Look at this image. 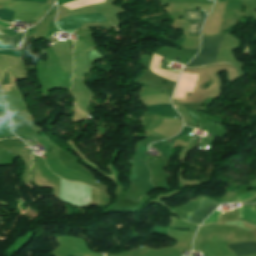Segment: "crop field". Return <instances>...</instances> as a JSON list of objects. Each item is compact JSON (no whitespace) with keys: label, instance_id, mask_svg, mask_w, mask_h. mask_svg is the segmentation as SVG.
I'll use <instances>...</instances> for the list:
<instances>
[{"label":"crop field","instance_id":"crop-field-1","mask_svg":"<svg viewBox=\"0 0 256 256\" xmlns=\"http://www.w3.org/2000/svg\"><path fill=\"white\" fill-rule=\"evenodd\" d=\"M222 38V35L216 37H203L202 51L193 59L190 64L195 66H203L205 64L214 63Z\"/></svg>","mask_w":256,"mask_h":256},{"label":"crop field","instance_id":"crop-field-2","mask_svg":"<svg viewBox=\"0 0 256 256\" xmlns=\"http://www.w3.org/2000/svg\"><path fill=\"white\" fill-rule=\"evenodd\" d=\"M218 205L219 204L213 201L201 199V206L189 216L187 221L200 225L202 221L217 208Z\"/></svg>","mask_w":256,"mask_h":256},{"label":"crop field","instance_id":"crop-field-3","mask_svg":"<svg viewBox=\"0 0 256 256\" xmlns=\"http://www.w3.org/2000/svg\"><path fill=\"white\" fill-rule=\"evenodd\" d=\"M201 11L197 10H185L184 11V19L189 21H194V24L190 23L188 33L187 34H194L200 35V26L202 25L206 15L201 14Z\"/></svg>","mask_w":256,"mask_h":256},{"label":"crop field","instance_id":"crop-field-4","mask_svg":"<svg viewBox=\"0 0 256 256\" xmlns=\"http://www.w3.org/2000/svg\"><path fill=\"white\" fill-rule=\"evenodd\" d=\"M235 254L239 256L256 255V242L255 243H241L228 247Z\"/></svg>","mask_w":256,"mask_h":256},{"label":"crop field","instance_id":"crop-field-5","mask_svg":"<svg viewBox=\"0 0 256 256\" xmlns=\"http://www.w3.org/2000/svg\"><path fill=\"white\" fill-rule=\"evenodd\" d=\"M147 108L150 113L180 117L171 105H153Z\"/></svg>","mask_w":256,"mask_h":256},{"label":"crop field","instance_id":"crop-field-6","mask_svg":"<svg viewBox=\"0 0 256 256\" xmlns=\"http://www.w3.org/2000/svg\"><path fill=\"white\" fill-rule=\"evenodd\" d=\"M22 37H23V34H18L12 39L5 35L3 36L0 35V39L3 40L11 48H17L16 46L20 43Z\"/></svg>","mask_w":256,"mask_h":256},{"label":"crop field","instance_id":"crop-field-7","mask_svg":"<svg viewBox=\"0 0 256 256\" xmlns=\"http://www.w3.org/2000/svg\"><path fill=\"white\" fill-rule=\"evenodd\" d=\"M14 12L8 9H0V20L12 22Z\"/></svg>","mask_w":256,"mask_h":256},{"label":"crop field","instance_id":"crop-field-8","mask_svg":"<svg viewBox=\"0 0 256 256\" xmlns=\"http://www.w3.org/2000/svg\"><path fill=\"white\" fill-rule=\"evenodd\" d=\"M192 131V128L188 127V126H185L182 130V132L180 134H178L177 136L175 137H178V136H181V135H184V134H187V133H190ZM173 137V138H175Z\"/></svg>","mask_w":256,"mask_h":256},{"label":"crop field","instance_id":"crop-field-9","mask_svg":"<svg viewBox=\"0 0 256 256\" xmlns=\"http://www.w3.org/2000/svg\"><path fill=\"white\" fill-rule=\"evenodd\" d=\"M16 1H28V2H42V3H45L46 0H16Z\"/></svg>","mask_w":256,"mask_h":256},{"label":"crop field","instance_id":"crop-field-10","mask_svg":"<svg viewBox=\"0 0 256 256\" xmlns=\"http://www.w3.org/2000/svg\"><path fill=\"white\" fill-rule=\"evenodd\" d=\"M178 133H179V132H178ZM178 133H177V134H178Z\"/></svg>","mask_w":256,"mask_h":256}]
</instances>
